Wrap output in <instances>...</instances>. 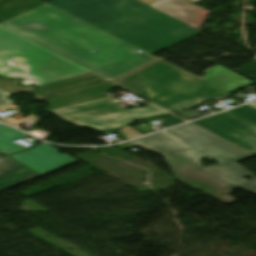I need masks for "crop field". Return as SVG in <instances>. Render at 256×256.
Instances as JSON below:
<instances>
[{"label": "crop field", "mask_w": 256, "mask_h": 256, "mask_svg": "<svg viewBox=\"0 0 256 256\" xmlns=\"http://www.w3.org/2000/svg\"><path fill=\"white\" fill-rule=\"evenodd\" d=\"M0 27L108 82L159 60L123 42L153 54L202 32L137 0H54Z\"/></svg>", "instance_id": "obj_1"}, {"label": "crop field", "mask_w": 256, "mask_h": 256, "mask_svg": "<svg viewBox=\"0 0 256 256\" xmlns=\"http://www.w3.org/2000/svg\"><path fill=\"white\" fill-rule=\"evenodd\" d=\"M129 143L162 155L195 146L196 149L164 157L176 179L227 204L238 201L228 196L233 189L242 187L256 193L254 174L235 163L255 155L192 123ZM202 157L219 163L202 167Z\"/></svg>", "instance_id": "obj_2"}, {"label": "crop field", "mask_w": 256, "mask_h": 256, "mask_svg": "<svg viewBox=\"0 0 256 256\" xmlns=\"http://www.w3.org/2000/svg\"><path fill=\"white\" fill-rule=\"evenodd\" d=\"M111 82L172 113L206 99L228 95L162 60Z\"/></svg>", "instance_id": "obj_3"}, {"label": "crop field", "mask_w": 256, "mask_h": 256, "mask_svg": "<svg viewBox=\"0 0 256 256\" xmlns=\"http://www.w3.org/2000/svg\"><path fill=\"white\" fill-rule=\"evenodd\" d=\"M85 73L89 72L0 29V76L42 85Z\"/></svg>", "instance_id": "obj_4"}, {"label": "crop field", "mask_w": 256, "mask_h": 256, "mask_svg": "<svg viewBox=\"0 0 256 256\" xmlns=\"http://www.w3.org/2000/svg\"><path fill=\"white\" fill-rule=\"evenodd\" d=\"M36 93L38 99L50 103L46 111L108 96L104 93L114 85L89 73L42 86Z\"/></svg>", "instance_id": "obj_5"}, {"label": "crop field", "mask_w": 256, "mask_h": 256, "mask_svg": "<svg viewBox=\"0 0 256 256\" xmlns=\"http://www.w3.org/2000/svg\"><path fill=\"white\" fill-rule=\"evenodd\" d=\"M193 123L256 153V109L249 105Z\"/></svg>", "instance_id": "obj_6"}, {"label": "crop field", "mask_w": 256, "mask_h": 256, "mask_svg": "<svg viewBox=\"0 0 256 256\" xmlns=\"http://www.w3.org/2000/svg\"><path fill=\"white\" fill-rule=\"evenodd\" d=\"M11 157L43 175L77 162L67 154L57 153V149L45 143L27 152L11 155Z\"/></svg>", "instance_id": "obj_7"}, {"label": "crop field", "mask_w": 256, "mask_h": 256, "mask_svg": "<svg viewBox=\"0 0 256 256\" xmlns=\"http://www.w3.org/2000/svg\"><path fill=\"white\" fill-rule=\"evenodd\" d=\"M163 114L168 113L153 105H148L144 106V108H133L129 110H123L72 124L78 126H88L98 131H103L122 127L131 121L159 116Z\"/></svg>", "instance_id": "obj_8"}, {"label": "crop field", "mask_w": 256, "mask_h": 256, "mask_svg": "<svg viewBox=\"0 0 256 256\" xmlns=\"http://www.w3.org/2000/svg\"><path fill=\"white\" fill-rule=\"evenodd\" d=\"M123 109L125 108L114 102L109 96L94 101L48 111L47 113L51 112L62 120L72 123Z\"/></svg>", "instance_id": "obj_9"}, {"label": "crop field", "mask_w": 256, "mask_h": 256, "mask_svg": "<svg viewBox=\"0 0 256 256\" xmlns=\"http://www.w3.org/2000/svg\"><path fill=\"white\" fill-rule=\"evenodd\" d=\"M150 6L198 30L210 13L187 0H162Z\"/></svg>", "instance_id": "obj_10"}, {"label": "crop field", "mask_w": 256, "mask_h": 256, "mask_svg": "<svg viewBox=\"0 0 256 256\" xmlns=\"http://www.w3.org/2000/svg\"><path fill=\"white\" fill-rule=\"evenodd\" d=\"M39 176L42 175L9 156L0 158V191Z\"/></svg>", "instance_id": "obj_11"}, {"label": "crop field", "mask_w": 256, "mask_h": 256, "mask_svg": "<svg viewBox=\"0 0 256 256\" xmlns=\"http://www.w3.org/2000/svg\"><path fill=\"white\" fill-rule=\"evenodd\" d=\"M202 79L221 88L231 94L237 87L252 84L254 82L226 69L221 65H216L206 71Z\"/></svg>", "instance_id": "obj_12"}, {"label": "crop field", "mask_w": 256, "mask_h": 256, "mask_svg": "<svg viewBox=\"0 0 256 256\" xmlns=\"http://www.w3.org/2000/svg\"><path fill=\"white\" fill-rule=\"evenodd\" d=\"M25 136L27 135L22 134L10 127L0 125V152L9 154L26 149L13 143V141Z\"/></svg>", "instance_id": "obj_13"}, {"label": "crop field", "mask_w": 256, "mask_h": 256, "mask_svg": "<svg viewBox=\"0 0 256 256\" xmlns=\"http://www.w3.org/2000/svg\"><path fill=\"white\" fill-rule=\"evenodd\" d=\"M234 71L256 82V58Z\"/></svg>", "instance_id": "obj_14"}, {"label": "crop field", "mask_w": 256, "mask_h": 256, "mask_svg": "<svg viewBox=\"0 0 256 256\" xmlns=\"http://www.w3.org/2000/svg\"><path fill=\"white\" fill-rule=\"evenodd\" d=\"M120 131H122L125 134L127 140L141 135L140 133L136 132L135 130L128 126Z\"/></svg>", "instance_id": "obj_15"}, {"label": "crop field", "mask_w": 256, "mask_h": 256, "mask_svg": "<svg viewBox=\"0 0 256 256\" xmlns=\"http://www.w3.org/2000/svg\"><path fill=\"white\" fill-rule=\"evenodd\" d=\"M10 95L9 93L5 92L4 90L0 89V108L13 103L9 99L5 98L6 96Z\"/></svg>", "instance_id": "obj_16"}, {"label": "crop field", "mask_w": 256, "mask_h": 256, "mask_svg": "<svg viewBox=\"0 0 256 256\" xmlns=\"http://www.w3.org/2000/svg\"><path fill=\"white\" fill-rule=\"evenodd\" d=\"M139 1H141V2H143L145 4H147V5H150V4H152L154 2H157L159 0H139ZM189 1L194 2V1H198V0H189Z\"/></svg>", "instance_id": "obj_17"}, {"label": "crop field", "mask_w": 256, "mask_h": 256, "mask_svg": "<svg viewBox=\"0 0 256 256\" xmlns=\"http://www.w3.org/2000/svg\"><path fill=\"white\" fill-rule=\"evenodd\" d=\"M41 89H42L41 86L38 87V89H37L36 91H34V93L38 92V91L41 90Z\"/></svg>", "instance_id": "obj_18"}, {"label": "crop field", "mask_w": 256, "mask_h": 256, "mask_svg": "<svg viewBox=\"0 0 256 256\" xmlns=\"http://www.w3.org/2000/svg\"><path fill=\"white\" fill-rule=\"evenodd\" d=\"M252 105H254V106H256V101L255 102H253V103H251Z\"/></svg>", "instance_id": "obj_19"}, {"label": "crop field", "mask_w": 256, "mask_h": 256, "mask_svg": "<svg viewBox=\"0 0 256 256\" xmlns=\"http://www.w3.org/2000/svg\"><path fill=\"white\" fill-rule=\"evenodd\" d=\"M17 86V85H16Z\"/></svg>", "instance_id": "obj_20"}]
</instances>
